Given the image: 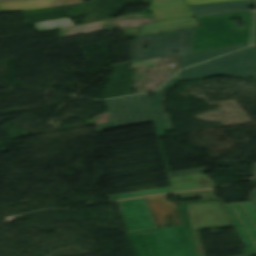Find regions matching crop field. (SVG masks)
Listing matches in <instances>:
<instances>
[{
    "instance_id": "obj_1",
    "label": "crop field",
    "mask_w": 256,
    "mask_h": 256,
    "mask_svg": "<svg viewBox=\"0 0 256 256\" xmlns=\"http://www.w3.org/2000/svg\"><path fill=\"white\" fill-rule=\"evenodd\" d=\"M178 206L183 225L126 233L136 256H198L183 230L231 226L219 201Z\"/></svg>"
},
{
    "instance_id": "obj_2",
    "label": "crop field",
    "mask_w": 256,
    "mask_h": 256,
    "mask_svg": "<svg viewBox=\"0 0 256 256\" xmlns=\"http://www.w3.org/2000/svg\"><path fill=\"white\" fill-rule=\"evenodd\" d=\"M230 18H243L235 28ZM203 27L194 29L193 52L249 43L252 11L198 17Z\"/></svg>"
},
{
    "instance_id": "obj_3",
    "label": "crop field",
    "mask_w": 256,
    "mask_h": 256,
    "mask_svg": "<svg viewBox=\"0 0 256 256\" xmlns=\"http://www.w3.org/2000/svg\"><path fill=\"white\" fill-rule=\"evenodd\" d=\"M192 40L193 29L135 38L132 41L131 62L190 53ZM147 41L148 47L144 50Z\"/></svg>"
},
{
    "instance_id": "obj_4",
    "label": "crop field",
    "mask_w": 256,
    "mask_h": 256,
    "mask_svg": "<svg viewBox=\"0 0 256 256\" xmlns=\"http://www.w3.org/2000/svg\"><path fill=\"white\" fill-rule=\"evenodd\" d=\"M224 74L233 77H248L253 74V49L239 51L213 61L186 69L177 75L183 79Z\"/></svg>"
},
{
    "instance_id": "obj_5",
    "label": "crop field",
    "mask_w": 256,
    "mask_h": 256,
    "mask_svg": "<svg viewBox=\"0 0 256 256\" xmlns=\"http://www.w3.org/2000/svg\"><path fill=\"white\" fill-rule=\"evenodd\" d=\"M149 94L107 101L111 121L101 130L151 122L152 116L147 98Z\"/></svg>"
},
{
    "instance_id": "obj_6",
    "label": "crop field",
    "mask_w": 256,
    "mask_h": 256,
    "mask_svg": "<svg viewBox=\"0 0 256 256\" xmlns=\"http://www.w3.org/2000/svg\"><path fill=\"white\" fill-rule=\"evenodd\" d=\"M128 232L157 228L144 198L118 202Z\"/></svg>"
},
{
    "instance_id": "obj_7",
    "label": "crop field",
    "mask_w": 256,
    "mask_h": 256,
    "mask_svg": "<svg viewBox=\"0 0 256 256\" xmlns=\"http://www.w3.org/2000/svg\"><path fill=\"white\" fill-rule=\"evenodd\" d=\"M149 8L157 22L194 16L185 0H153Z\"/></svg>"
},
{
    "instance_id": "obj_8",
    "label": "crop field",
    "mask_w": 256,
    "mask_h": 256,
    "mask_svg": "<svg viewBox=\"0 0 256 256\" xmlns=\"http://www.w3.org/2000/svg\"><path fill=\"white\" fill-rule=\"evenodd\" d=\"M158 228L178 225L179 219L174 202H168L167 196L145 198ZM169 214L173 224L170 223Z\"/></svg>"
},
{
    "instance_id": "obj_9",
    "label": "crop field",
    "mask_w": 256,
    "mask_h": 256,
    "mask_svg": "<svg viewBox=\"0 0 256 256\" xmlns=\"http://www.w3.org/2000/svg\"><path fill=\"white\" fill-rule=\"evenodd\" d=\"M255 3L254 0H238L217 3L189 5L195 16L248 11Z\"/></svg>"
},
{
    "instance_id": "obj_10",
    "label": "crop field",
    "mask_w": 256,
    "mask_h": 256,
    "mask_svg": "<svg viewBox=\"0 0 256 256\" xmlns=\"http://www.w3.org/2000/svg\"><path fill=\"white\" fill-rule=\"evenodd\" d=\"M179 81L180 79L174 78L164 88H162L158 93L149 99L159 137H165L163 130L172 129L169 114L163 113V94L166 90L171 89Z\"/></svg>"
},
{
    "instance_id": "obj_11",
    "label": "crop field",
    "mask_w": 256,
    "mask_h": 256,
    "mask_svg": "<svg viewBox=\"0 0 256 256\" xmlns=\"http://www.w3.org/2000/svg\"><path fill=\"white\" fill-rule=\"evenodd\" d=\"M195 26H200V25L198 24V22L195 20L194 17L185 18V19H179V20H173V21H167V22H161V23L143 25L140 27L139 34L129 35L126 37L130 38V37L151 35V34H157V33H162V32L171 31V30L185 29V28H190Z\"/></svg>"
},
{
    "instance_id": "obj_12",
    "label": "crop field",
    "mask_w": 256,
    "mask_h": 256,
    "mask_svg": "<svg viewBox=\"0 0 256 256\" xmlns=\"http://www.w3.org/2000/svg\"><path fill=\"white\" fill-rule=\"evenodd\" d=\"M170 179L174 192L216 187L215 183L208 180L207 175L202 173L173 177Z\"/></svg>"
},
{
    "instance_id": "obj_13",
    "label": "crop field",
    "mask_w": 256,
    "mask_h": 256,
    "mask_svg": "<svg viewBox=\"0 0 256 256\" xmlns=\"http://www.w3.org/2000/svg\"><path fill=\"white\" fill-rule=\"evenodd\" d=\"M248 45L250 44L184 54L181 56V69L220 56L222 54L246 47Z\"/></svg>"
},
{
    "instance_id": "obj_14",
    "label": "crop field",
    "mask_w": 256,
    "mask_h": 256,
    "mask_svg": "<svg viewBox=\"0 0 256 256\" xmlns=\"http://www.w3.org/2000/svg\"><path fill=\"white\" fill-rule=\"evenodd\" d=\"M54 1L55 0H29V1H20V2H12V3H3V4H0V13L50 7Z\"/></svg>"
},
{
    "instance_id": "obj_15",
    "label": "crop field",
    "mask_w": 256,
    "mask_h": 256,
    "mask_svg": "<svg viewBox=\"0 0 256 256\" xmlns=\"http://www.w3.org/2000/svg\"><path fill=\"white\" fill-rule=\"evenodd\" d=\"M188 244L195 243L199 256H206L198 230L184 231ZM242 256H250L242 255Z\"/></svg>"
},
{
    "instance_id": "obj_16",
    "label": "crop field",
    "mask_w": 256,
    "mask_h": 256,
    "mask_svg": "<svg viewBox=\"0 0 256 256\" xmlns=\"http://www.w3.org/2000/svg\"><path fill=\"white\" fill-rule=\"evenodd\" d=\"M35 25L39 29V31H42V30L72 26L74 24L71 22V20L69 18H66V19L36 23Z\"/></svg>"
},
{
    "instance_id": "obj_17",
    "label": "crop field",
    "mask_w": 256,
    "mask_h": 256,
    "mask_svg": "<svg viewBox=\"0 0 256 256\" xmlns=\"http://www.w3.org/2000/svg\"><path fill=\"white\" fill-rule=\"evenodd\" d=\"M203 192H209V193L181 196V195H186V194L203 193ZM174 195L175 196H180L181 199L200 196L201 201H203V199H207V198H211V200L215 199L212 190L184 192V193H177V194H174ZM195 202H197V201H195ZM183 203H189V202H183ZM177 204H181V203H177Z\"/></svg>"
},
{
    "instance_id": "obj_18",
    "label": "crop field",
    "mask_w": 256,
    "mask_h": 256,
    "mask_svg": "<svg viewBox=\"0 0 256 256\" xmlns=\"http://www.w3.org/2000/svg\"><path fill=\"white\" fill-rule=\"evenodd\" d=\"M158 63H159V59L149 60V61H141V62H134V63H131V69L138 68V67L149 66V65H154V64H158Z\"/></svg>"
},
{
    "instance_id": "obj_19",
    "label": "crop field",
    "mask_w": 256,
    "mask_h": 256,
    "mask_svg": "<svg viewBox=\"0 0 256 256\" xmlns=\"http://www.w3.org/2000/svg\"><path fill=\"white\" fill-rule=\"evenodd\" d=\"M197 172H205V170L203 168H199V169L171 172L168 174L170 177H173V176H179V175H185V174H191V173H197Z\"/></svg>"
},
{
    "instance_id": "obj_20",
    "label": "crop field",
    "mask_w": 256,
    "mask_h": 256,
    "mask_svg": "<svg viewBox=\"0 0 256 256\" xmlns=\"http://www.w3.org/2000/svg\"><path fill=\"white\" fill-rule=\"evenodd\" d=\"M12 1H20V0H0V3H3V2H12ZM67 0H56L52 6L50 8H53V7H59V6H63V4L66 2Z\"/></svg>"
},
{
    "instance_id": "obj_21",
    "label": "crop field",
    "mask_w": 256,
    "mask_h": 256,
    "mask_svg": "<svg viewBox=\"0 0 256 256\" xmlns=\"http://www.w3.org/2000/svg\"><path fill=\"white\" fill-rule=\"evenodd\" d=\"M217 1H227V0H186L188 5L195 4V3H206V2H217Z\"/></svg>"
},
{
    "instance_id": "obj_22",
    "label": "crop field",
    "mask_w": 256,
    "mask_h": 256,
    "mask_svg": "<svg viewBox=\"0 0 256 256\" xmlns=\"http://www.w3.org/2000/svg\"><path fill=\"white\" fill-rule=\"evenodd\" d=\"M250 197H251L250 200H251L253 206H254L255 209H256V190H255L254 192H252V194H251Z\"/></svg>"
},
{
    "instance_id": "obj_23",
    "label": "crop field",
    "mask_w": 256,
    "mask_h": 256,
    "mask_svg": "<svg viewBox=\"0 0 256 256\" xmlns=\"http://www.w3.org/2000/svg\"><path fill=\"white\" fill-rule=\"evenodd\" d=\"M86 0H68L65 5H71V4H77V3H82L85 2ZM64 5V6H65Z\"/></svg>"
},
{
    "instance_id": "obj_24",
    "label": "crop field",
    "mask_w": 256,
    "mask_h": 256,
    "mask_svg": "<svg viewBox=\"0 0 256 256\" xmlns=\"http://www.w3.org/2000/svg\"><path fill=\"white\" fill-rule=\"evenodd\" d=\"M254 45H256V33L254 34Z\"/></svg>"
},
{
    "instance_id": "obj_25",
    "label": "crop field",
    "mask_w": 256,
    "mask_h": 256,
    "mask_svg": "<svg viewBox=\"0 0 256 256\" xmlns=\"http://www.w3.org/2000/svg\"><path fill=\"white\" fill-rule=\"evenodd\" d=\"M255 32H256V27H255Z\"/></svg>"
},
{
    "instance_id": "obj_26",
    "label": "crop field",
    "mask_w": 256,
    "mask_h": 256,
    "mask_svg": "<svg viewBox=\"0 0 256 256\" xmlns=\"http://www.w3.org/2000/svg\"><path fill=\"white\" fill-rule=\"evenodd\" d=\"M256 48V46H254ZM256 78V77H255Z\"/></svg>"
},
{
    "instance_id": "obj_27",
    "label": "crop field",
    "mask_w": 256,
    "mask_h": 256,
    "mask_svg": "<svg viewBox=\"0 0 256 256\" xmlns=\"http://www.w3.org/2000/svg\"><path fill=\"white\" fill-rule=\"evenodd\" d=\"M255 168H256V165H255Z\"/></svg>"
}]
</instances>
